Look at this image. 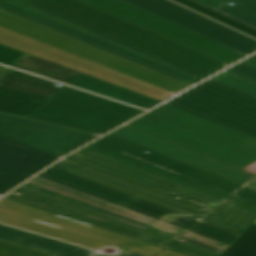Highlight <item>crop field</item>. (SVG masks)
I'll return each instance as SVG.
<instances>
[{
  "label": "crop field",
  "mask_w": 256,
  "mask_h": 256,
  "mask_svg": "<svg viewBox=\"0 0 256 256\" xmlns=\"http://www.w3.org/2000/svg\"><path fill=\"white\" fill-rule=\"evenodd\" d=\"M0 222L97 250L108 244L154 256L163 249L4 198L0 199Z\"/></svg>",
  "instance_id": "obj_4"
},
{
  "label": "crop field",
  "mask_w": 256,
  "mask_h": 256,
  "mask_svg": "<svg viewBox=\"0 0 256 256\" xmlns=\"http://www.w3.org/2000/svg\"><path fill=\"white\" fill-rule=\"evenodd\" d=\"M198 34L240 51H256V40L167 0H123Z\"/></svg>",
  "instance_id": "obj_12"
},
{
  "label": "crop field",
  "mask_w": 256,
  "mask_h": 256,
  "mask_svg": "<svg viewBox=\"0 0 256 256\" xmlns=\"http://www.w3.org/2000/svg\"><path fill=\"white\" fill-rule=\"evenodd\" d=\"M7 70L8 68L0 65V76H2Z\"/></svg>",
  "instance_id": "obj_43"
},
{
  "label": "crop field",
  "mask_w": 256,
  "mask_h": 256,
  "mask_svg": "<svg viewBox=\"0 0 256 256\" xmlns=\"http://www.w3.org/2000/svg\"><path fill=\"white\" fill-rule=\"evenodd\" d=\"M167 249H170L185 255H189V256H219L179 241L174 242Z\"/></svg>",
  "instance_id": "obj_35"
},
{
  "label": "crop field",
  "mask_w": 256,
  "mask_h": 256,
  "mask_svg": "<svg viewBox=\"0 0 256 256\" xmlns=\"http://www.w3.org/2000/svg\"><path fill=\"white\" fill-rule=\"evenodd\" d=\"M67 159L160 192L173 198L179 196L181 197L179 200L209 211L223 202L221 199L191 189L184 185L154 175L147 171L125 164L86 148L70 155L67 157Z\"/></svg>",
  "instance_id": "obj_11"
},
{
  "label": "crop field",
  "mask_w": 256,
  "mask_h": 256,
  "mask_svg": "<svg viewBox=\"0 0 256 256\" xmlns=\"http://www.w3.org/2000/svg\"><path fill=\"white\" fill-rule=\"evenodd\" d=\"M189 231L222 242L227 245H229L233 240L237 238V236L206 226L201 223L197 224Z\"/></svg>",
  "instance_id": "obj_32"
},
{
  "label": "crop field",
  "mask_w": 256,
  "mask_h": 256,
  "mask_svg": "<svg viewBox=\"0 0 256 256\" xmlns=\"http://www.w3.org/2000/svg\"><path fill=\"white\" fill-rule=\"evenodd\" d=\"M166 104L193 113L200 117L214 111L216 113H219L223 116H226L228 118H231L233 120H236L240 123H243L256 129V120H253L251 118H248L246 116H243L241 114L230 111L228 109H225L223 107H220L218 105H215L213 103L191 96L186 93L176 97L175 99L167 102Z\"/></svg>",
  "instance_id": "obj_25"
},
{
  "label": "crop field",
  "mask_w": 256,
  "mask_h": 256,
  "mask_svg": "<svg viewBox=\"0 0 256 256\" xmlns=\"http://www.w3.org/2000/svg\"><path fill=\"white\" fill-rule=\"evenodd\" d=\"M222 256H256V225L246 230Z\"/></svg>",
  "instance_id": "obj_29"
},
{
  "label": "crop field",
  "mask_w": 256,
  "mask_h": 256,
  "mask_svg": "<svg viewBox=\"0 0 256 256\" xmlns=\"http://www.w3.org/2000/svg\"><path fill=\"white\" fill-rule=\"evenodd\" d=\"M142 112L65 86L27 117L104 134Z\"/></svg>",
  "instance_id": "obj_6"
},
{
  "label": "crop field",
  "mask_w": 256,
  "mask_h": 256,
  "mask_svg": "<svg viewBox=\"0 0 256 256\" xmlns=\"http://www.w3.org/2000/svg\"><path fill=\"white\" fill-rule=\"evenodd\" d=\"M29 182H32V183H35V184H38V185H41V186H44V187L53 189V190H55V191H58V192H61V193H64V194H67V195H70V196L79 198V199H81V200H84V201H87V202H90V203L99 205V206H101V207H104V208L113 210V211H115V212L124 214V215H126V216L135 218V219H137V220L146 222V223H148V224H151V225H154V226H157V227L166 229V230H168V231H171V232H174V233H177V234H180V235H182L184 232H186V230H183V229H181V228H178V227L169 225V224H167V223H164V222H161V221L152 219V218H150V217H147V216H144V215L135 213V212H133V211H130V210H127V209L118 207V206H116V205H113V204H110V203H107V202L98 200V199H96V198H93V197H90V196L81 194V193H79V192H76V191L67 189V188H65V187L59 186V185H57V184L51 183V182H49V181L43 180V179L38 178V177H36V178L30 180Z\"/></svg>",
  "instance_id": "obj_24"
},
{
  "label": "crop field",
  "mask_w": 256,
  "mask_h": 256,
  "mask_svg": "<svg viewBox=\"0 0 256 256\" xmlns=\"http://www.w3.org/2000/svg\"><path fill=\"white\" fill-rule=\"evenodd\" d=\"M0 239L28 246L56 256H106L104 254L42 237L0 224ZM120 250V249H119ZM116 256H143L124 250Z\"/></svg>",
  "instance_id": "obj_18"
},
{
  "label": "crop field",
  "mask_w": 256,
  "mask_h": 256,
  "mask_svg": "<svg viewBox=\"0 0 256 256\" xmlns=\"http://www.w3.org/2000/svg\"><path fill=\"white\" fill-rule=\"evenodd\" d=\"M229 65L246 55L121 0H80Z\"/></svg>",
  "instance_id": "obj_10"
},
{
  "label": "crop field",
  "mask_w": 256,
  "mask_h": 256,
  "mask_svg": "<svg viewBox=\"0 0 256 256\" xmlns=\"http://www.w3.org/2000/svg\"><path fill=\"white\" fill-rule=\"evenodd\" d=\"M172 1L177 2V3H179L183 6H186V7L190 8L194 11H197V12H199V13L205 15V16H208V17H210V18H212L216 21H219V22H221L225 25H228L232 28H235V29H237L241 32H244V33H246L248 35H251V36L256 38V31L255 30H253V29H251L247 26H244V25H242V24H240L236 21H233V20H231L227 17H224V16H222V15L216 13V12H213V11H211V10H209V9L203 7V6H200V5L194 3L190 0H172Z\"/></svg>",
  "instance_id": "obj_30"
},
{
  "label": "crop field",
  "mask_w": 256,
  "mask_h": 256,
  "mask_svg": "<svg viewBox=\"0 0 256 256\" xmlns=\"http://www.w3.org/2000/svg\"><path fill=\"white\" fill-rule=\"evenodd\" d=\"M12 67L67 84L79 73L25 54Z\"/></svg>",
  "instance_id": "obj_27"
},
{
  "label": "crop field",
  "mask_w": 256,
  "mask_h": 256,
  "mask_svg": "<svg viewBox=\"0 0 256 256\" xmlns=\"http://www.w3.org/2000/svg\"><path fill=\"white\" fill-rule=\"evenodd\" d=\"M243 170L247 171V172H250L254 175H256V162L246 168H244Z\"/></svg>",
  "instance_id": "obj_41"
},
{
  "label": "crop field",
  "mask_w": 256,
  "mask_h": 256,
  "mask_svg": "<svg viewBox=\"0 0 256 256\" xmlns=\"http://www.w3.org/2000/svg\"><path fill=\"white\" fill-rule=\"evenodd\" d=\"M68 84L147 110L160 103L82 74Z\"/></svg>",
  "instance_id": "obj_21"
},
{
  "label": "crop field",
  "mask_w": 256,
  "mask_h": 256,
  "mask_svg": "<svg viewBox=\"0 0 256 256\" xmlns=\"http://www.w3.org/2000/svg\"><path fill=\"white\" fill-rule=\"evenodd\" d=\"M210 80L256 97V83L227 71L211 78Z\"/></svg>",
  "instance_id": "obj_31"
},
{
  "label": "crop field",
  "mask_w": 256,
  "mask_h": 256,
  "mask_svg": "<svg viewBox=\"0 0 256 256\" xmlns=\"http://www.w3.org/2000/svg\"><path fill=\"white\" fill-rule=\"evenodd\" d=\"M252 57L256 58V55H254V56H252Z\"/></svg>",
  "instance_id": "obj_45"
},
{
  "label": "crop field",
  "mask_w": 256,
  "mask_h": 256,
  "mask_svg": "<svg viewBox=\"0 0 256 256\" xmlns=\"http://www.w3.org/2000/svg\"><path fill=\"white\" fill-rule=\"evenodd\" d=\"M203 118L211 120L213 122H216L218 124L224 125L226 127H229L231 129L237 130L239 132H242L244 134H247V135H250V136L256 138V130L255 129L245 126L243 124H240V123L233 121L231 119H228L226 117H223L214 112L204 116Z\"/></svg>",
  "instance_id": "obj_33"
},
{
  "label": "crop field",
  "mask_w": 256,
  "mask_h": 256,
  "mask_svg": "<svg viewBox=\"0 0 256 256\" xmlns=\"http://www.w3.org/2000/svg\"><path fill=\"white\" fill-rule=\"evenodd\" d=\"M186 93L256 119V98L210 80L201 83Z\"/></svg>",
  "instance_id": "obj_19"
},
{
  "label": "crop field",
  "mask_w": 256,
  "mask_h": 256,
  "mask_svg": "<svg viewBox=\"0 0 256 256\" xmlns=\"http://www.w3.org/2000/svg\"><path fill=\"white\" fill-rule=\"evenodd\" d=\"M4 198L14 200L29 206H33L48 212L68 217L163 248L167 247L169 244L175 241L173 239H169L138 229L136 227L109 219L107 217L89 212L87 210L69 205L67 203L49 198L47 196L29 191L21 187L9 193Z\"/></svg>",
  "instance_id": "obj_13"
},
{
  "label": "crop field",
  "mask_w": 256,
  "mask_h": 256,
  "mask_svg": "<svg viewBox=\"0 0 256 256\" xmlns=\"http://www.w3.org/2000/svg\"><path fill=\"white\" fill-rule=\"evenodd\" d=\"M255 224H256V222H255Z\"/></svg>",
  "instance_id": "obj_46"
},
{
  "label": "crop field",
  "mask_w": 256,
  "mask_h": 256,
  "mask_svg": "<svg viewBox=\"0 0 256 256\" xmlns=\"http://www.w3.org/2000/svg\"><path fill=\"white\" fill-rule=\"evenodd\" d=\"M242 62L247 63V64H249V65H252V66L256 67V59H254V58H252V57H250V58H248V59H246V60H244V61H242Z\"/></svg>",
  "instance_id": "obj_42"
},
{
  "label": "crop field",
  "mask_w": 256,
  "mask_h": 256,
  "mask_svg": "<svg viewBox=\"0 0 256 256\" xmlns=\"http://www.w3.org/2000/svg\"><path fill=\"white\" fill-rule=\"evenodd\" d=\"M52 168L110 188L112 190L130 195L132 197L150 202L197 221L209 213V211L204 209L170 198L168 196L140 187L138 185L110 176L67 159L61 161Z\"/></svg>",
  "instance_id": "obj_15"
},
{
  "label": "crop field",
  "mask_w": 256,
  "mask_h": 256,
  "mask_svg": "<svg viewBox=\"0 0 256 256\" xmlns=\"http://www.w3.org/2000/svg\"><path fill=\"white\" fill-rule=\"evenodd\" d=\"M21 187L27 188L29 190H32V191H35V192L47 195L49 197H52V198H55V199L67 202L69 204H72V205H75V206L87 209L89 211H92V212H95V213L107 216L109 218H112V219H115V220H118V221L130 224V225L139 227L141 229H144V230H147V231H150V232L162 235V236L173 238L175 240L178 237H180V235H177V234L168 232L166 230H163V229H160V228L148 225L146 223L137 221L135 219L126 217L124 215L115 213L113 211L101 208L99 206H96V205H93V204L81 201L79 199H76V198H73V197H70V196H67V195L55 192L53 190H50V189H47V188H44V187H41V186H38V185H35V184H32V183H29V182L25 183Z\"/></svg>",
  "instance_id": "obj_20"
},
{
  "label": "crop field",
  "mask_w": 256,
  "mask_h": 256,
  "mask_svg": "<svg viewBox=\"0 0 256 256\" xmlns=\"http://www.w3.org/2000/svg\"><path fill=\"white\" fill-rule=\"evenodd\" d=\"M204 78L229 65L78 0H27Z\"/></svg>",
  "instance_id": "obj_2"
},
{
  "label": "crop field",
  "mask_w": 256,
  "mask_h": 256,
  "mask_svg": "<svg viewBox=\"0 0 256 256\" xmlns=\"http://www.w3.org/2000/svg\"><path fill=\"white\" fill-rule=\"evenodd\" d=\"M0 27L175 94L189 86L0 10Z\"/></svg>",
  "instance_id": "obj_8"
},
{
  "label": "crop field",
  "mask_w": 256,
  "mask_h": 256,
  "mask_svg": "<svg viewBox=\"0 0 256 256\" xmlns=\"http://www.w3.org/2000/svg\"><path fill=\"white\" fill-rule=\"evenodd\" d=\"M0 134L60 156L100 136V134L76 128L1 112ZM31 176L0 164V195Z\"/></svg>",
  "instance_id": "obj_7"
},
{
  "label": "crop field",
  "mask_w": 256,
  "mask_h": 256,
  "mask_svg": "<svg viewBox=\"0 0 256 256\" xmlns=\"http://www.w3.org/2000/svg\"><path fill=\"white\" fill-rule=\"evenodd\" d=\"M59 157L0 135V163L7 166L34 175Z\"/></svg>",
  "instance_id": "obj_17"
},
{
  "label": "crop field",
  "mask_w": 256,
  "mask_h": 256,
  "mask_svg": "<svg viewBox=\"0 0 256 256\" xmlns=\"http://www.w3.org/2000/svg\"><path fill=\"white\" fill-rule=\"evenodd\" d=\"M202 221L241 235L256 221V213L227 202Z\"/></svg>",
  "instance_id": "obj_22"
},
{
  "label": "crop field",
  "mask_w": 256,
  "mask_h": 256,
  "mask_svg": "<svg viewBox=\"0 0 256 256\" xmlns=\"http://www.w3.org/2000/svg\"><path fill=\"white\" fill-rule=\"evenodd\" d=\"M158 256H185V255H182V254H179V253H176V252L165 249V251L162 252Z\"/></svg>",
  "instance_id": "obj_40"
},
{
  "label": "crop field",
  "mask_w": 256,
  "mask_h": 256,
  "mask_svg": "<svg viewBox=\"0 0 256 256\" xmlns=\"http://www.w3.org/2000/svg\"><path fill=\"white\" fill-rule=\"evenodd\" d=\"M57 83L9 69L0 78V87L49 98L60 88Z\"/></svg>",
  "instance_id": "obj_23"
},
{
  "label": "crop field",
  "mask_w": 256,
  "mask_h": 256,
  "mask_svg": "<svg viewBox=\"0 0 256 256\" xmlns=\"http://www.w3.org/2000/svg\"><path fill=\"white\" fill-rule=\"evenodd\" d=\"M38 177L79 191L81 193L99 198L101 200L116 204L118 206L133 210L135 212L150 216L152 218L167 222L169 224L188 230L197 221L149 204L147 202L132 198L130 196L112 191L55 169H48Z\"/></svg>",
  "instance_id": "obj_14"
},
{
  "label": "crop field",
  "mask_w": 256,
  "mask_h": 256,
  "mask_svg": "<svg viewBox=\"0 0 256 256\" xmlns=\"http://www.w3.org/2000/svg\"><path fill=\"white\" fill-rule=\"evenodd\" d=\"M184 237H187V238H190V239H193V240H196V241H199V242H202V243H205V244H208V245H211V246L223 249V250H225L228 247L227 245H224L222 243H219V242L210 240L208 238L196 235L191 232L187 233Z\"/></svg>",
  "instance_id": "obj_38"
},
{
  "label": "crop field",
  "mask_w": 256,
  "mask_h": 256,
  "mask_svg": "<svg viewBox=\"0 0 256 256\" xmlns=\"http://www.w3.org/2000/svg\"><path fill=\"white\" fill-rule=\"evenodd\" d=\"M179 241L188 243V244H190V245H193V246H196V247H199V248L208 250V251H210V252H213V253H216V254H219V255H221L222 252H223V250H220V249H217V248H214V247H211V246H208V245H205V244H202V243H199V242H196V241H193V240L184 238V237H182L181 239H179Z\"/></svg>",
  "instance_id": "obj_39"
},
{
  "label": "crop field",
  "mask_w": 256,
  "mask_h": 256,
  "mask_svg": "<svg viewBox=\"0 0 256 256\" xmlns=\"http://www.w3.org/2000/svg\"><path fill=\"white\" fill-rule=\"evenodd\" d=\"M0 44L160 102L175 95L2 28H0Z\"/></svg>",
  "instance_id": "obj_9"
},
{
  "label": "crop field",
  "mask_w": 256,
  "mask_h": 256,
  "mask_svg": "<svg viewBox=\"0 0 256 256\" xmlns=\"http://www.w3.org/2000/svg\"><path fill=\"white\" fill-rule=\"evenodd\" d=\"M113 135L109 134L86 148L223 200L243 188L241 185L212 173ZM146 150L150 152L144 153Z\"/></svg>",
  "instance_id": "obj_5"
},
{
  "label": "crop field",
  "mask_w": 256,
  "mask_h": 256,
  "mask_svg": "<svg viewBox=\"0 0 256 256\" xmlns=\"http://www.w3.org/2000/svg\"><path fill=\"white\" fill-rule=\"evenodd\" d=\"M45 100L47 99L0 88L1 112L26 117Z\"/></svg>",
  "instance_id": "obj_28"
},
{
  "label": "crop field",
  "mask_w": 256,
  "mask_h": 256,
  "mask_svg": "<svg viewBox=\"0 0 256 256\" xmlns=\"http://www.w3.org/2000/svg\"><path fill=\"white\" fill-rule=\"evenodd\" d=\"M245 186L256 176L129 125L111 133Z\"/></svg>",
  "instance_id": "obj_16"
},
{
  "label": "crop field",
  "mask_w": 256,
  "mask_h": 256,
  "mask_svg": "<svg viewBox=\"0 0 256 256\" xmlns=\"http://www.w3.org/2000/svg\"><path fill=\"white\" fill-rule=\"evenodd\" d=\"M129 125L240 169L256 161V139L166 104Z\"/></svg>",
  "instance_id": "obj_1"
},
{
  "label": "crop field",
  "mask_w": 256,
  "mask_h": 256,
  "mask_svg": "<svg viewBox=\"0 0 256 256\" xmlns=\"http://www.w3.org/2000/svg\"><path fill=\"white\" fill-rule=\"evenodd\" d=\"M256 30V0H193ZM234 6L228 5L229 3Z\"/></svg>",
  "instance_id": "obj_26"
},
{
  "label": "crop field",
  "mask_w": 256,
  "mask_h": 256,
  "mask_svg": "<svg viewBox=\"0 0 256 256\" xmlns=\"http://www.w3.org/2000/svg\"><path fill=\"white\" fill-rule=\"evenodd\" d=\"M228 201L256 212V191L248 187L241 190Z\"/></svg>",
  "instance_id": "obj_34"
},
{
  "label": "crop field",
  "mask_w": 256,
  "mask_h": 256,
  "mask_svg": "<svg viewBox=\"0 0 256 256\" xmlns=\"http://www.w3.org/2000/svg\"><path fill=\"white\" fill-rule=\"evenodd\" d=\"M0 7H4L3 10L6 12L49 28L104 52L139 64L189 86L204 79L25 0H0Z\"/></svg>",
  "instance_id": "obj_3"
},
{
  "label": "crop field",
  "mask_w": 256,
  "mask_h": 256,
  "mask_svg": "<svg viewBox=\"0 0 256 256\" xmlns=\"http://www.w3.org/2000/svg\"><path fill=\"white\" fill-rule=\"evenodd\" d=\"M227 71L256 82V68L242 62L238 63Z\"/></svg>",
  "instance_id": "obj_36"
},
{
  "label": "crop field",
  "mask_w": 256,
  "mask_h": 256,
  "mask_svg": "<svg viewBox=\"0 0 256 256\" xmlns=\"http://www.w3.org/2000/svg\"><path fill=\"white\" fill-rule=\"evenodd\" d=\"M23 55L24 53L0 45V63L2 64L11 66Z\"/></svg>",
  "instance_id": "obj_37"
},
{
  "label": "crop field",
  "mask_w": 256,
  "mask_h": 256,
  "mask_svg": "<svg viewBox=\"0 0 256 256\" xmlns=\"http://www.w3.org/2000/svg\"><path fill=\"white\" fill-rule=\"evenodd\" d=\"M248 187L256 190V180L254 182H252L250 185H248Z\"/></svg>",
  "instance_id": "obj_44"
}]
</instances>
